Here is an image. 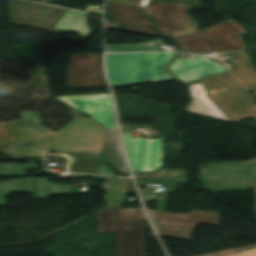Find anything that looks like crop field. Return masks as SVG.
Listing matches in <instances>:
<instances>
[{
	"label": "crop field",
	"instance_id": "8a807250",
	"mask_svg": "<svg viewBox=\"0 0 256 256\" xmlns=\"http://www.w3.org/2000/svg\"><path fill=\"white\" fill-rule=\"evenodd\" d=\"M109 22L122 25L126 31L173 38L185 52L232 51L245 48L241 39L244 29L233 19L197 32V24L188 15L192 6L150 0L147 8L109 2ZM154 18L161 35L155 31Z\"/></svg>",
	"mask_w": 256,
	"mask_h": 256
},
{
	"label": "crop field",
	"instance_id": "ac0d7876",
	"mask_svg": "<svg viewBox=\"0 0 256 256\" xmlns=\"http://www.w3.org/2000/svg\"><path fill=\"white\" fill-rule=\"evenodd\" d=\"M227 67L206 57L176 59L169 71L190 86L202 83L209 99L234 123L248 117L256 119V106L248 91L256 96V70L246 50L233 53Z\"/></svg>",
	"mask_w": 256,
	"mask_h": 256
},
{
	"label": "crop field",
	"instance_id": "34b2d1b8",
	"mask_svg": "<svg viewBox=\"0 0 256 256\" xmlns=\"http://www.w3.org/2000/svg\"><path fill=\"white\" fill-rule=\"evenodd\" d=\"M20 115L18 139L4 154L42 155L47 150L59 151L69 157V172L78 173L99 174V165H107L102 154L104 127L94 121L76 117L56 133L42 126L40 111L21 112ZM30 142L36 144L24 146Z\"/></svg>",
	"mask_w": 256,
	"mask_h": 256
},
{
	"label": "crop field",
	"instance_id": "412701ff",
	"mask_svg": "<svg viewBox=\"0 0 256 256\" xmlns=\"http://www.w3.org/2000/svg\"><path fill=\"white\" fill-rule=\"evenodd\" d=\"M177 53L109 54L107 66L113 87L175 80L167 65Z\"/></svg>",
	"mask_w": 256,
	"mask_h": 256
},
{
	"label": "crop field",
	"instance_id": "f4fd0767",
	"mask_svg": "<svg viewBox=\"0 0 256 256\" xmlns=\"http://www.w3.org/2000/svg\"><path fill=\"white\" fill-rule=\"evenodd\" d=\"M145 220L142 208L102 210L98 233H116V256H144Z\"/></svg>",
	"mask_w": 256,
	"mask_h": 256
},
{
	"label": "crop field",
	"instance_id": "dd49c442",
	"mask_svg": "<svg viewBox=\"0 0 256 256\" xmlns=\"http://www.w3.org/2000/svg\"><path fill=\"white\" fill-rule=\"evenodd\" d=\"M81 114L106 127L104 154L110 165L120 174H130L123 155L114 118L110 94L94 95V98H70Z\"/></svg>",
	"mask_w": 256,
	"mask_h": 256
},
{
	"label": "crop field",
	"instance_id": "e52e79f7",
	"mask_svg": "<svg viewBox=\"0 0 256 256\" xmlns=\"http://www.w3.org/2000/svg\"><path fill=\"white\" fill-rule=\"evenodd\" d=\"M159 235L192 241L200 223L219 226L220 215L193 211L187 215L147 210Z\"/></svg>",
	"mask_w": 256,
	"mask_h": 256
},
{
	"label": "crop field",
	"instance_id": "d8731c3e",
	"mask_svg": "<svg viewBox=\"0 0 256 256\" xmlns=\"http://www.w3.org/2000/svg\"><path fill=\"white\" fill-rule=\"evenodd\" d=\"M202 183L213 193L256 189V179L243 162L209 165L208 177Z\"/></svg>",
	"mask_w": 256,
	"mask_h": 256
},
{
	"label": "crop field",
	"instance_id": "5a996713",
	"mask_svg": "<svg viewBox=\"0 0 256 256\" xmlns=\"http://www.w3.org/2000/svg\"><path fill=\"white\" fill-rule=\"evenodd\" d=\"M102 53L70 55L67 73L69 88L107 86Z\"/></svg>",
	"mask_w": 256,
	"mask_h": 256
},
{
	"label": "crop field",
	"instance_id": "3316defc",
	"mask_svg": "<svg viewBox=\"0 0 256 256\" xmlns=\"http://www.w3.org/2000/svg\"><path fill=\"white\" fill-rule=\"evenodd\" d=\"M128 157L135 172L154 171L162 167L163 138L130 139L123 134Z\"/></svg>",
	"mask_w": 256,
	"mask_h": 256
},
{
	"label": "crop field",
	"instance_id": "28ad6ade",
	"mask_svg": "<svg viewBox=\"0 0 256 256\" xmlns=\"http://www.w3.org/2000/svg\"><path fill=\"white\" fill-rule=\"evenodd\" d=\"M12 192H30L34 199H50L53 194H72V185H60L48 179L26 178L0 182V205H6V195Z\"/></svg>",
	"mask_w": 256,
	"mask_h": 256
},
{
	"label": "crop field",
	"instance_id": "d1516ede",
	"mask_svg": "<svg viewBox=\"0 0 256 256\" xmlns=\"http://www.w3.org/2000/svg\"><path fill=\"white\" fill-rule=\"evenodd\" d=\"M190 93L192 96L190 104L187 106L186 111L199 114L202 116L231 122L226 118L219 109L208 99L206 90L202 84L190 86ZM233 123V122H232Z\"/></svg>",
	"mask_w": 256,
	"mask_h": 256
},
{
	"label": "crop field",
	"instance_id": "22f410ed",
	"mask_svg": "<svg viewBox=\"0 0 256 256\" xmlns=\"http://www.w3.org/2000/svg\"><path fill=\"white\" fill-rule=\"evenodd\" d=\"M131 180V181H129ZM107 189L104 201L107 206H120L126 193H137L132 179L115 177L103 186Z\"/></svg>",
	"mask_w": 256,
	"mask_h": 256
},
{
	"label": "crop field",
	"instance_id": "cbeb9de0",
	"mask_svg": "<svg viewBox=\"0 0 256 256\" xmlns=\"http://www.w3.org/2000/svg\"><path fill=\"white\" fill-rule=\"evenodd\" d=\"M56 29L73 30L85 38L93 32L87 27L86 14L72 10H68Z\"/></svg>",
	"mask_w": 256,
	"mask_h": 256
},
{
	"label": "crop field",
	"instance_id": "5142ce71",
	"mask_svg": "<svg viewBox=\"0 0 256 256\" xmlns=\"http://www.w3.org/2000/svg\"><path fill=\"white\" fill-rule=\"evenodd\" d=\"M162 42L160 38L153 41L130 45H107L108 52H134V51H158L156 43Z\"/></svg>",
	"mask_w": 256,
	"mask_h": 256
},
{
	"label": "crop field",
	"instance_id": "d9b57169",
	"mask_svg": "<svg viewBox=\"0 0 256 256\" xmlns=\"http://www.w3.org/2000/svg\"><path fill=\"white\" fill-rule=\"evenodd\" d=\"M176 189V184H167L162 192L155 193L149 190H140L145 202L159 200L157 210L165 211L169 192Z\"/></svg>",
	"mask_w": 256,
	"mask_h": 256
},
{
	"label": "crop field",
	"instance_id": "733c2abd",
	"mask_svg": "<svg viewBox=\"0 0 256 256\" xmlns=\"http://www.w3.org/2000/svg\"><path fill=\"white\" fill-rule=\"evenodd\" d=\"M0 168V176H26V165L0 164Z\"/></svg>",
	"mask_w": 256,
	"mask_h": 256
},
{
	"label": "crop field",
	"instance_id": "4a817a6b",
	"mask_svg": "<svg viewBox=\"0 0 256 256\" xmlns=\"http://www.w3.org/2000/svg\"><path fill=\"white\" fill-rule=\"evenodd\" d=\"M157 180L162 182H185L187 181V176L184 171L169 169Z\"/></svg>",
	"mask_w": 256,
	"mask_h": 256
},
{
	"label": "crop field",
	"instance_id": "bc2a9ffb",
	"mask_svg": "<svg viewBox=\"0 0 256 256\" xmlns=\"http://www.w3.org/2000/svg\"><path fill=\"white\" fill-rule=\"evenodd\" d=\"M166 170V168H162L160 171L155 173H144V174H137L135 175L136 178H146V179H157L161 176Z\"/></svg>",
	"mask_w": 256,
	"mask_h": 256
},
{
	"label": "crop field",
	"instance_id": "214f88e0",
	"mask_svg": "<svg viewBox=\"0 0 256 256\" xmlns=\"http://www.w3.org/2000/svg\"><path fill=\"white\" fill-rule=\"evenodd\" d=\"M228 256H256V248L246 250L243 252H239V253H235V254L228 255Z\"/></svg>",
	"mask_w": 256,
	"mask_h": 256
},
{
	"label": "crop field",
	"instance_id": "92a150f3",
	"mask_svg": "<svg viewBox=\"0 0 256 256\" xmlns=\"http://www.w3.org/2000/svg\"><path fill=\"white\" fill-rule=\"evenodd\" d=\"M68 97H93V95H79V96H63V97H59L58 99L65 102L66 104H68L69 106H71L72 108H74L75 110H77L74 105L69 101ZM78 111V110H77Z\"/></svg>",
	"mask_w": 256,
	"mask_h": 256
},
{
	"label": "crop field",
	"instance_id": "dafd665d",
	"mask_svg": "<svg viewBox=\"0 0 256 256\" xmlns=\"http://www.w3.org/2000/svg\"><path fill=\"white\" fill-rule=\"evenodd\" d=\"M100 174L115 175V173L109 169V166H100Z\"/></svg>",
	"mask_w": 256,
	"mask_h": 256
},
{
	"label": "crop field",
	"instance_id": "00972430",
	"mask_svg": "<svg viewBox=\"0 0 256 256\" xmlns=\"http://www.w3.org/2000/svg\"><path fill=\"white\" fill-rule=\"evenodd\" d=\"M69 178H86L89 177V175H83V174H71L68 176Z\"/></svg>",
	"mask_w": 256,
	"mask_h": 256
},
{
	"label": "crop field",
	"instance_id": "a9b5d70f",
	"mask_svg": "<svg viewBox=\"0 0 256 256\" xmlns=\"http://www.w3.org/2000/svg\"><path fill=\"white\" fill-rule=\"evenodd\" d=\"M27 168H28V171H32L31 168H35V169H36L34 163H28V164H27Z\"/></svg>",
	"mask_w": 256,
	"mask_h": 256
},
{
	"label": "crop field",
	"instance_id": "4177f3b9",
	"mask_svg": "<svg viewBox=\"0 0 256 256\" xmlns=\"http://www.w3.org/2000/svg\"><path fill=\"white\" fill-rule=\"evenodd\" d=\"M250 167H251V169H252V171H253L254 176L256 177V170L253 169V168H256V165H252V166H250Z\"/></svg>",
	"mask_w": 256,
	"mask_h": 256
},
{
	"label": "crop field",
	"instance_id": "730fd06b",
	"mask_svg": "<svg viewBox=\"0 0 256 256\" xmlns=\"http://www.w3.org/2000/svg\"><path fill=\"white\" fill-rule=\"evenodd\" d=\"M95 178L110 179V178H112V177H106V176H96Z\"/></svg>",
	"mask_w": 256,
	"mask_h": 256
}]
</instances>
